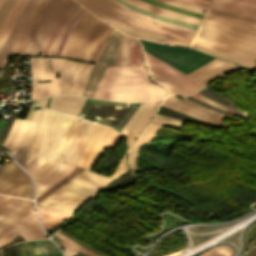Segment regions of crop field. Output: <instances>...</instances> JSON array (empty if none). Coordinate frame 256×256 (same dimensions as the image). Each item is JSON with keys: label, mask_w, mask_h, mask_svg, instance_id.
Wrapping results in <instances>:
<instances>
[{"label": "crop field", "mask_w": 256, "mask_h": 256, "mask_svg": "<svg viewBox=\"0 0 256 256\" xmlns=\"http://www.w3.org/2000/svg\"><path fill=\"white\" fill-rule=\"evenodd\" d=\"M20 245H21V249H22V254H23V256H25L22 242H20Z\"/></svg>", "instance_id": "41"}, {"label": "crop field", "mask_w": 256, "mask_h": 256, "mask_svg": "<svg viewBox=\"0 0 256 256\" xmlns=\"http://www.w3.org/2000/svg\"><path fill=\"white\" fill-rule=\"evenodd\" d=\"M0 192L32 199L29 177L13 162L0 168Z\"/></svg>", "instance_id": "12"}, {"label": "crop field", "mask_w": 256, "mask_h": 256, "mask_svg": "<svg viewBox=\"0 0 256 256\" xmlns=\"http://www.w3.org/2000/svg\"><path fill=\"white\" fill-rule=\"evenodd\" d=\"M123 35V33L114 29L108 43L106 44L102 54L100 55L99 59L96 62V65L93 68L90 79L82 94L83 96L92 97L106 68V65L103 64H113Z\"/></svg>", "instance_id": "13"}, {"label": "crop field", "mask_w": 256, "mask_h": 256, "mask_svg": "<svg viewBox=\"0 0 256 256\" xmlns=\"http://www.w3.org/2000/svg\"><path fill=\"white\" fill-rule=\"evenodd\" d=\"M143 1H146L148 3L154 4V5H157V6L172 10V11H176V12H180V13H184V14H188V15H192V16H196V17H200V18L202 17L201 14L189 12L190 10L186 11V10H183V9H179V8H176V7H173V6H169V5L154 1V0H143Z\"/></svg>", "instance_id": "35"}, {"label": "crop field", "mask_w": 256, "mask_h": 256, "mask_svg": "<svg viewBox=\"0 0 256 256\" xmlns=\"http://www.w3.org/2000/svg\"><path fill=\"white\" fill-rule=\"evenodd\" d=\"M195 99H197L199 101H202V102H205L207 104H210V105H212L214 107H217V108H220V109H223V110H226V111H229V112H232V113H235L237 115H240V116H243V117L247 118V113L239 111V110H236V109H233V108H229V107L223 106V105L218 104V103H216V102H214V101H212V100H210V99H208V98H206V97H204L202 95L197 97V98H195Z\"/></svg>", "instance_id": "32"}, {"label": "crop field", "mask_w": 256, "mask_h": 256, "mask_svg": "<svg viewBox=\"0 0 256 256\" xmlns=\"http://www.w3.org/2000/svg\"><path fill=\"white\" fill-rule=\"evenodd\" d=\"M38 209H39L42 221L45 227L47 228V230L56 226L57 224H59L60 222L64 221L65 219L71 216L66 213H62L59 211H54V210H50L42 207H39Z\"/></svg>", "instance_id": "24"}, {"label": "crop field", "mask_w": 256, "mask_h": 256, "mask_svg": "<svg viewBox=\"0 0 256 256\" xmlns=\"http://www.w3.org/2000/svg\"><path fill=\"white\" fill-rule=\"evenodd\" d=\"M189 1H192V2H195V3H198V4H202V5L207 6V3L200 2V1H197V0H189Z\"/></svg>", "instance_id": "39"}, {"label": "crop field", "mask_w": 256, "mask_h": 256, "mask_svg": "<svg viewBox=\"0 0 256 256\" xmlns=\"http://www.w3.org/2000/svg\"><path fill=\"white\" fill-rule=\"evenodd\" d=\"M135 180H136V178L131 174V175L113 183L109 187L102 190V192H106V191L112 190L114 188H122V187L128 186V185L134 183Z\"/></svg>", "instance_id": "33"}, {"label": "crop field", "mask_w": 256, "mask_h": 256, "mask_svg": "<svg viewBox=\"0 0 256 256\" xmlns=\"http://www.w3.org/2000/svg\"><path fill=\"white\" fill-rule=\"evenodd\" d=\"M233 248L229 245H217L197 256H231Z\"/></svg>", "instance_id": "28"}, {"label": "crop field", "mask_w": 256, "mask_h": 256, "mask_svg": "<svg viewBox=\"0 0 256 256\" xmlns=\"http://www.w3.org/2000/svg\"><path fill=\"white\" fill-rule=\"evenodd\" d=\"M114 180L85 169L37 204L73 214Z\"/></svg>", "instance_id": "8"}, {"label": "crop field", "mask_w": 256, "mask_h": 256, "mask_svg": "<svg viewBox=\"0 0 256 256\" xmlns=\"http://www.w3.org/2000/svg\"><path fill=\"white\" fill-rule=\"evenodd\" d=\"M152 102H145L141 103L138 109L135 111L133 116L130 118V120L127 122V124L124 126V128L121 130L119 134L124 136L127 140V138L130 136V134L133 132V130L137 127L145 113L147 112L149 106Z\"/></svg>", "instance_id": "23"}, {"label": "crop field", "mask_w": 256, "mask_h": 256, "mask_svg": "<svg viewBox=\"0 0 256 256\" xmlns=\"http://www.w3.org/2000/svg\"><path fill=\"white\" fill-rule=\"evenodd\" d=\"M37 0H29L28 3L26 4V6L24 7L21 15L19 16L12 32L10 33L7 41L5 42L2 51L0 52V68H3L5 66V62L7 59V55L8 52L24 22V20L26 19L27 15L29 14V12L31 11V9L33 8V6L35 5Z\"/></svg>", "instance_id": "19"}, {"label": "crop field", "mask_w": 256, "mask_h": 256, "mask_svg": "<svg viewBox=\"0 0 256 256\" xmlns=\"http://www.w3.org/2000/svg\"><path fill=\"white\" fill-rule=\"evenodd\" d=\"M27 243H28V254H29V256H34V253H35V256H38L37 247H36V242L33 241V244H34V253H33L32 241H27Z\"/></svg>", "instance_id": "37"}, {"label": "crop field", "mask_w": 256, "mask_h": 256, "mask_svg": "<svg viewBox=\"0 0 256 256\" xmlns=\"http://www.w3.org/2000/svg\"><path fill=\"white\" fill-rule=\"evenodd\" d=\"M126 155H127V150H126L125 154L123 155L119 165L117 166L115 171L112 173L111 177L117 179V178L121 177L122 175L126 174L127 172H129L128 167L125 162Z\"/></svg>", "instance_id": "34"}, {"label": "crop field", "mask_w": 256, "mask_h": 256, "mask_svg": "<svg viewBox=\"0 0 256 256\" xmlns=\"http://www.w3.org/2000/svg\"><path fill=\"white\" fill-rule=\"evenodd\" d=\"M0 256H2V252H1V250H0Z\"/></svg>", "instance_id": "42"}, {"label": "crop field", "mask_w": 256, "mask_h": 256, "mask_svg": "<svg viewBox=\"0 0 256 256\" xmlns=\"http://www.w3.org/2000/svg\"><path fill=\"white\" fill-rule=\"evenodd\" d=\"M183 99L184 101L174 96H169L163 100V102L161 103V106L204 120L209 123H213V124H215L223 116V114L209 110L185 98ZM216 124L227 127V124H221L219 123V121Z\"/></svg>", "instance_id": "14"}, {"label": "crop field", "mask_w": 256, "mask_h": 256, "mask_svg": "<svg viewBox=\"0 0 256 256\" xmlns=\"http://www.w3.org/2000/svg\"><path fill=\"white\" fill-rule=\"evenodd\" d=\"M206 12L256 23V17H252V16L242 15V14L228 12V11L219 10V9H214V8H210V7L207 8Z\"/></svg>", "instance_id": "29"}, {"label": "crop field", "mask_w": 256, "mask_h": 256, "mask_svg": "<svg viewBox=\"0 0 256 256\" xmlns=\"http://www.w3.org/2000/svg\"><path fill=\"white\" fill-rule=\"evenodd\" d=\"M56 233V232H55ZM58 237H60L61 239L67 241L68 243L74 245L75 247L79 248L82 250V252L86 253L89 256H97L95 254H93L92 252H90L89 250L85 249L84 247H82L81 245L77 244L76 242H74L73 240L69 239L68 237H66L65 235L61 234L60 232H57L56 234H54ZM80 250V251H81Z\"/></svg>", "instance_id": "36"}, {"label": "crop field", "mask_w": 256, "mask_h": 256, "mask_svg": "<svg viewBox=\"0 0 256 256\" xmlns=\"http://www.w3.org/2000/svg\"><path fill=\"white\" fill-rule=\"evenodd\" d=\"M209 6L256 16V0H211Z\"/></svg>", "instance_id": "17"}, {"label": "crop field", "mask_w": 256, "mask_h": 256, "mask_svg": "<svg viewBox=\"0 0 256 256\" xmlns=\"http://www.w3.org/2000/svg\"><path fill=\"white\" fill-rule=\"evenodd\" d=\"M83 9L74 0H48L31 27L23 54L37 55L42 50L40 56H56L68 28Z\"/></svg>", "instance_id": "2"}, {"label": "crop field", "mask_w": 256, "mask_h": 256, "mask_svg": "<svg viewBox=\"0 0 256 256\" xmlns=\"http://www.w3.org/2000/svg\"><path fill=\"white\" fill-rule=\"evenodd\" d=\"M44 108L39 107L36 111L33 123L21 145V147L17 150V152L13 155V157L15 158V160L20 164V162L22 161L23 157L26 155V153L29 151L35 136L37 134L38 128H39V124L42 118V115L44 113Z\"/></svg>", "instance_id": "20"}, {"label": "crop field", "mask_w": 256, "mask_h": 256, "mask_svg": "<svg viewBox=\"0 0 256 256\" xmlns=\"http://www.w3.org/2000/svg\"><path fill=\"white\" fill-rule=\"evenodd\" d=\"M200 1H202V0H200ZM205 2V1H204ZM208 3V2H207Z\"/></svg>", "instance_id": "43"}, {"label": "crop field", "mask_w": 256, "mask_h": 256, "mask_svg": "<svg viewBox=\"0 0 256 256\" xmlns=\"http://www.w3.org/2000/svg\"><path fill=\"white\" fill-rule=\"evenodd\" d=\"M47 2V0H39L36 5L34 6V8L32 9V11L30 12V14L28 15L24 25L22 26L20 33L15 41V43L13 44L11 50L9 53L11 54H16L18 55L20 52V49L23 45L25 36L31 26V24L33 23L34 19L36 18L37 14L40 12V10L42 9V7L44 6V4Z\"/></svg>", "instance_id": "22"}, {"label": "crop field", "mask_w": 256, "mask_h": 256, "mask_svg": "<svg viewBox=\"0 0 256 256\" xmlns=\"http://www.w3.org/2000/svg\"><path fill=\"white\" fill-rule=\"evenodd\" d=\"M75 117L47 111L37 145L23 166L33 179L42 173L60 152Z\"/></svg>", "instance_id": "7"}, {"label": "crop field", "mask_w": 256, "mask_h": 256, "mask_svg": "<svg viewBox=\"0 0 256 256\" xmlns=\"http://www.w3.org/2000/svg\"><path fill=\"white\" fill-rule=\"evenodd\" d=\"M97 124L80 120L75 133L69 143V146L57 163V165L48 171L41 179L36 181L37 195L48 189L58 180L65 177L79 162L86 146L88 145Z\"/></svg>", "instance_id": "10"}, {"label": "crop field", "mask_w": 256, "mask_h": 256, "mask_svg": "<svg viewBox=\"0 0 256 256\" xmlns=\"http://www.w3.org/2000/svg\"><path fill=\"white\" fill-rule=\"evenodd\" d=\"M146 64L149 68L150 75L155 82L164 86L169 94H179L187 96L196 90L204 87L199 83L201 79L219 71L234 63L224 61L221 59H214L189 74L185 75L172 66L164 63L163 61L153 57L144 51ZM199 81V82H198ZM202 81V80H201Z\"/></svg>", "instance_id": "6"}, {"label": "crop field", "mask_w": 256, "mask_h": 256, "mask_svg": "<svg viewBox=\"0 0 256 256\" xmlns=\"http://www.w3.org/2000/svg\"><path fill=\"white\" fill-rule=\"evenodd\" d=\"M51 60V74L49 71ZM94 64L80 63L61 58H46L47 80L50 83H39L38 99L56 94L81 95ZM59 72V78L55 73Z\"/></svg>", "instance_id": "9"}, {"label": "crop field", "mask_w": 256, "mask_h": 256, "mask_svg": "<svg viewBox=\"0 0 256 256\" xmlns=\"http://www.w3.org/2000/svg\"><path fill=\"white\" fill-rule=\"evenodd\" d=\"M140 42L144 50L185 74L215 58L189 48L166 46L145 40Z\"/></svg>", "instance_id": "11"}, {"label": "crop field", "mask_w": 256, "mask_h": 256, "mask_svg": "<svg viewBox=\"0 0 256 256\" xmlns=\"http://www.w3.org/2000/svg\"><path fill=\"white\" fill-rule=\"evenodd\" d=\"M110 130L111 129L108 127L102 126L100 124L98 125V127H97L89 145L87 146L79 164L77 163L79 167L88 168V169L91 168V166H92L96 156L98 155L103 143L105 142ZM112 130H111L106 142L104 143L99 155L97 156L95 162L102 155V153L109 146V144L113 141V139L116 137L117 133H115ZM95 162H94V164H95Z\"/></svg>", "instance_id": "15"}, {"label": "crop field", "mask_w": 256, "mask_h": 256, "mask_svg": "<svg viewBox=\"0 0 256 256\" xmlns=\"http://www.w3.org/2000/svg\"><path fill=\"white\" fill-rule=\"evenodd\" d=\"M189 47L251 68L256 61V24L205 13Z\"/></svg>", "instance_id": "1"}, {"label": "crop field", "mask_w": 256, "mask_h": 256, "mask_svg": "<svg viewBox=\"0 0 256 256\" xmlns=\"http://www.w3.org/2000/svg\"><path fill=\"white\" fill-rule=\"evenodd\" d=\"M131 43H132V44H136V45H140V43L138 42V40H137L136 38H134ZM140 46H141V45H140Z\"/></svg>", "instance_id": "40"}, {"label": "crop field", "mask_w": 256, "mask_h": 256, "mask_svg": "<svg viewBox=\"0 0 256 256\" xmlns=\"http://www.w3.org/2000/svg\"><path fill=\"white\" fill-rule=\"evenodd\" d=\"M32 107V106H31ZM33 108V107H32ZM36 108L30 109L25 120L16 119L3 146L4 148L11 151L12 155L19 148L27 129L31 123L34 116Z\"/></svg>", "instance_id": "16"}, {"label": "crop field", "mask_w": 256, "mask_h": 256, "mask_svg": "<svg viewBox=\"0 0 256 256\" xmlns=\"http://www.w3.org/2000/svg\"><path fill=\"white\" fill-rule=\"evenodd\" d=\"M161 129V126L154 125L149 123L147 127L144 129L143 133L131 149L129 156H128V162L129 166L132 170V172L136 171V161L138 157V150L141 146L148 143Z\"/></svg>", "instance_id": "21"}, {"label": "crop field", "mask_w": 256, "mask_h": 256, "mask_svg": "<svg viewBox=\"0 0 256 256\" xmlns=\"http://www.w3.org/2000/svg\"><path fill=\"white\" fill-rule=\"evenodd\" d=\"M200 94L218 102V103H221V104H224L226 106H230L232 107L233 106V102L222 97L221 95L217 94L216 92L212 91L211 89L205 87L201 90L198 91ZM247 112V111H246Z\"/></svg>", "instance_id": "30"}, {"label": "crop field", "mask_w": 256, "mask_h": 256, "mask_svg": "<svg viewBox=\"0 0 256 256\" xmlns=\"http://www.w3.org/2000/svg\"><path fill=\"white\" fill-rule=\"evenodd\" d=\"M132 37L124 35L114 65H129V46Z\"/></svg>", "instance_id": "26"}, {"label": "crop field", "mask_w": 256, "mask_h": 256, "mask_svg": "<svg viewBox=\"0 0 256 256\" xmlns=\"http://www.w3.org/2000/svg\"><path fill=\"white\" fill-rule=\"evenodd\" d=\"M118 2H120L121 4L135 10V11H138L140 13H143V14H147V15H150V16H153V17H156V18H159V19H162L164 21H167V22H170V23H173V24H177V25H180V26H184V27H188V28H191V29H197V26L196 25H192V24H188V23H184V22H181V21H178V20H175L173 18H170V17H166V16H162V15H159V14H156V13H153L151 11H148V10H145V9H142V8H139V7H136L128 2H126L125 0H117Z\"/></svg>", "instance_id": "25"}, {"label": "crop field", "mask_w": 256, "mask_h": 256, "mask_svg": "<svg viewBox=\"0 0 256 256\" xmlns=\"http://www.w3.org/2000/svg\"><path fill=\"white\" fill-rule=\"evenodd\" d=\"M130 66L144 67L140 46L130 47ZM108 66L93 97L123 102L151 101L155 93L145 68ZM143 88L136 91H127Z\"/></svg>", "instance_id": "3"}, {"label": "crop field", "mask_w": 256, "mask_h": 256, "mask_svg": "<svg viewBox=\"0 0 256 256\" xmlns=\"http://www.w3.org/2000/svg\"><path fill=\"white\" fill-rule=\"evenodd\" d=\"M151 123L179 130L180 127L183 125L184 121H180V120L155 114Z\"/></svg>", "instance_id": "27"}, {"label": "crop field", "mask_w": 256, "mask_h": 256, "mask_svg": "<svg viewBox=\"0 0 256 256\" xmlns=\"http://www.w3.org/2000/svg\"><path fill=\"white\" fill-rule=\"evenodd\" d=\"M122 137L118 134L115 141L109 146V148L113 149L114 146L119 142V140L121 139Z\"/></svg>", "instance_id": "38"}, {"label": "crop field", "mask_w": 256, "mask_h": 256, "mask_svg": "<svg viewBox=\"0 0 256 256\" xmlns=\"http://www.w3.org/2000/svg\"><path fill=\"white\" fill-rule=\"evenodd\" d=\"M83 170V168H79L76 167L75 169H73L65 178H63L61 181H59L57 184H55L53 187H51L50 189H48L46 192H44L43 194H41L39 197H37V202H39L41 199H43L44 197H46L48 194H50L51 192H53L54 190H56L58 187H60L62 184H64L66 181H68L69 179H71L73 176H75L76 174H78L79 172H81Z\"/></svg>", "instance_id": "31"}, {"label": "crop field", "mask_w": 256, "mask_h": 256, "mask_svg": "<svg viewBox=\"0 0 256 256\" xmlns=\"http://www.w3.org/2000/svg\"><path fill=\"white\" fill-rule=\"evenodd\" d=\"M96 16L117 29L138 38L155 40L167 44L187 46L193 35L171 30L125 14L102 0H77Z\"/></svg>", "instance_id": "4"}, {"label": "crop field", "mask_w": 256, "mask_h": 256, "mask_svg": "<svg viewBox=\"0 0 256 256\" xmlns=\"http://www.w3.org/2000/svg\"><path fill=\"white\" fill-rule=\"evenodd\" d=\"M85 98L63 95V96H53L50 99L49 109L60 111L64 113H69L77 115L83 101Z\"/></svg>", "instance_id": "18"}, {"label": "crop field", "mask_w": 256, "mask_h": 256, "mask_svg": "<svg viewBox=\"0 0 256 256\" xmlns=\"http://www.w3.org/2000/svg\"><path fill=\"white\" fill-rule=\"evenodd\" d=\"M113 28L83 10L69 28L57 56L96 62Z\"/></svg>", "instance_id": "5"}]
</instances>
